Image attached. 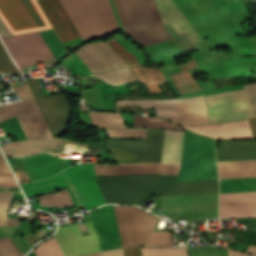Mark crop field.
Instances as JSON below:
<instances>
[{
  "label": "crop field",
  "mask_w": 256,
  "mask_h": 256,
  "mask_svg": "<svg viewBox=\"0 0 256 256\" xmlns=\"http://www.w3.org/2000/svg\"><path fill=\"white\" fill-rule=\"evenodd\" d=\"M217 157L218 161L255 160L256 141H221Z\"/></svg>",
  "instance_id": "17"
},
{
  "label": "crop field",
  "mask_w": 256,
  "mask_h": 256,
  "mask_svg": "<svg viewBox=\"0 0 256 256\" xmlns=\"http://www.w3.org/2000/svg\"><path fill=\"white\" fill-rule=\"evenodd\" d=\"M147 131L148 162L161 160L165 130ZM183 131L166 130L161 163L179 164ZM109 151L118 163L147 162L146 140H106Z\"/></svg>",
  "instance_id": "3"
},
{
  "label": "crop field",
  "mask_w": 256,
  "mask_h": 256,
  "mask_svg": "<svg viewBox=\"0 0 256 256\" xmlns=\"http://www.w3.org/2000/svg\"><path fill=\"white\" fill-rule=\"evenodd\" d=\"M206 193H218V181L172 183L157 193L156 196Z\"/></svg>",
  "instance_id": "18"
},
{
  "label": "crop field",
  "mask_w": 256,
  "mask_h": 256,
  "mask_svg": "<svg viewBox=\"0 0 256 256\" xmlns=\"http://www.w3.org/2000/svg\"><path fill=\"white\" fill-rule=\"evenodd\" d=\"M172 233H152L146 245H170Z\"/></svg>",
  "instance_id": "33"
},
{
  "label": "crop field",
  "mask_w": 256,
  "mask_h": 256,
  "mask_svg": "<svg viewBox=\"0 0 256 256\" xmlns=\"http://www.w3.org/2000/svg\"><path fill=\"white\" fill-rule=\"evenodd\" d=\"M0 16L13 35L51 28L35 0H0Z\"/></svg>",
  "instance_id": "7"
},
{
  "label": "crop field",
  "mask_w": 256,
  "mask_h": 256,
  "mask_svg": "<svg viewBox=\"0 0 256 256\" xmlns=\"http://www.w3.org/2000/svg\"><path fill=\"white\" fill-rule=\"evenodd\" d=\"M209 123L252 118L244 90L206 97Z\"/></svg>",
  "instance_id": "9"
},
{
  "label": "crop field",
  "mask_w": 256,
  "mask_h": 256,
  "mask_svg": "<svg viewBox=\"0 0 256 256\" xmlns=\"http://www.w3.org/2000/svg\"><path fill=\"white\" fill-rule=\"evenodd\" d=\"M249 121L252 129L253 137L256 138V120H249Z\"/></svg>",
  "instance_id": "41"
},
{
  "label": "crop field",
  "mask_w": 256,
  "mask_h": 256,
  "mask_svg": "<svg viewBox=\"0 0 256 256\" xmlns=\"http://www.w3.org/2000/svg\"><path fill=\"white\" fill-rule=\"evenodd\" d=\"M116 110H124L139 113L140 105L116 106Z\"/></svg>",
  "instance_id": "39"
},
{
  "label": "crop field",
  "mask_w": 256,
  "mask_h": 256,
  "mask_svg": "<svg viewBox=\"0 0 256 256\" xmlns=\"http://www.w3.org/2000/svg\"><path fill=\"white\" fill-rule=\"evenodd\" d=\"M88 145L89 143H78L67 139H40L11 142L1 148L5 156H26L52 150L88 148Z\"/></svg>",
  "instance_id": "12"
},
{
  "label": "crop field",
  "mask_w": 256,
  "mask_h": 256,
  "mask_svg": "<svg viewBox=\"0 0 256 256\" xmlns=\"http://www.w3.org/2000/svg\"><path fill=\"white\" fill-rule=\"evenodd\" d=\"M10 238L0 239V256H23Z\"/></svg>",
  "instance_id": "32"
},
{
  "label": "crop field",
  "mask_w": 256,
  "mask_h": 256,
  "mask_svg": "<svg viewBox=\"0 0 256 256\" xmlns=\"http://www.w3.org/2000/svg\"><path fill=\"white\" fill-rule=\"evenodd\" d=\"M27 256H35L34 253L31 251Z\"/></svg>",
  "instance_id": "45"
},
{
  "label": "crop field",
  "mask_w": 256,
  "mask_h": 256,
  "mask_svg": "<svg viewBox=\"0 0 256 256\" xmlns=\"http://www.w3.org/2000/svg\"><path fill=\"white\" fill-rule=\"evenodd\" d=\"M84 41L118 30L109 0H61Z\"/></svg>",
  "instance_id": "5"
},
{
  "label": "crop field",
  "mask_w": 256,
  "mask_h": 256,
  "mask_svg": "<svg viewBox=\"0 0 256 256\" xmlns=\"http://www.w3.org/2000/svg\"><path fill=\"white\" fill-rule=\"evenodd\" d=\"M135 126L152 127V128H166V129H181L179 126L169 123L165 120L153 118L134 116Z\"/></svg>",
  "instance_id": "25"
},
{
  "label": "crop field",
  "mask_w": 256,
  "mask_h": 256,
  "mask_svg": "<svg viewBox=\"0 0 256 256\" xmlns=\"http://www.w3.org/2000/svg\"><path fill=\"white\" fill-rule=\"evenodd\" d=\"M61 42L81 37L59 0H37Z\"/></svg>",
  "instance_id": "14"
},
{
  "label": "crop field",
  "mask_w": 256,
  "mask_h": 256,
  "mask_svg": "<svg viewBox=\"0 0 256 256\" xmlns=\"http://www.w3.org/2000/svg\"><path fill=\"white\" fill-rule=\"evenodd\" d=\"M0 187H18L0 154Z\"/></svg>",
  "instance_id": "31"
},
{
  "label": "crop field",
  "mask_w": 256,
  "mask_h": 256,
  "mask_svg": "<svg viewBox=\"0 0 256 256\" xmlns=\"http://www.w3.org/2000/svg\"><path fill=\"white\" fill-rule=\"evenodd\" d=\"M243 87L250 104L253 119H256V83Z\"/></svg>",
  "instance_id": "34"
},
{
  "label": "crop field",
  "mask_w": 256,
  "mask_h": 256,
  "mask_svg": "<svg viewBox=\"0 0 256 256\" xmlns=\"http://www.w3.org/2000/svg\"><path fill=\"white\" fill-rule=\"evenodd\" d=\"M9 35H11L10 31L8 30V28L5 26V24L0 18V37L9 36Z\"/></svg>",
  "instance_id": "40"
},
{
  "label": "crop field",
  "mask_w": 256,
  "mask_h": 256,
  "mask_svg": "<svg viewBox=\"0 0 256 256\" xmlns=\"http://www.w3.org/2000/svg\"><path fill=\"white\" fill-rule=\"evenodd\" d=\"M219 178L255 177L256 161L218 162Z\"/></svg>",
  "instance_id": "19"
},
{
  "label": "crop field",
  "mask_w": 256,
  "mask_h": 256,
  "mask_svg": "<svg viewBox=\"0 0 256 256\" xmlns=\"http://www.w3.org/2000/svg\"><path fill=\"white\" fill-rule=\"evenodd\" d=\"M216 140L185 130L180 165L137 164L97 165V175L177 174L137 176H96L108 203L139 205L172 180L202 181L217 179ZM95 181L94 164L76 165L48 180L22 185L28 197L67 188L75 206L87 210L107 204Z\"/></svg>",
  "instance_id": "1"
},
{
  "label": "crop field",
  "mask_w": 256,
  "mask_h": 256,
  "mask_svg": "<svg viewBox=\"0 0 256 256\" xmlns=\"http://www.w3.org/2000/svg\"><path fill=\"white\" fill-rule=\"evenodd\" d=\"M31 181L41 180L56 175L67 168L71 159L54 158L48 154H40L26 158H20Z\"/></svg>",
  "instance_id": "15"
},
{
  "label": "crop field",
  "mask_w": 256,
  "mask_h": 256,
  "mask_svg": "<svg viewBox=\"0 0 256 256\" xmlns=\"http://www.w3.org/2000/svg\"><path fill=\"white\" fill-rule=\"evenodd\" d=\"M42 206L64 207L73 205L66 190L38 197Z\"/></svg>",
  "instance_id": "22"
},
{
  "label": "crop field",
  "mask_w": 256,
  "mask_h": 256,
  "mask_svg": "<svg viewBox=\"0 0 256 256\" xmlns=\"http://www.w3.org/2000/svg\"><path fill=\"white\" fill-rule=\"evenodd\" d=\"M124 31L142 46L171 39L153 0H113Z\"/></svg>",
  "instance_id": "4"
},
{
  "label": "crop field",
  "mask_w": 256,
  "mask_h": 256,
  "mask_svg": "<svg viewBox=\"0 0 256 256\" xmlns=\"http://www.w3.org/2000/svg\"><path fill=\"white\" fill-rule=\"evenodd\" d=\"M124 256H140L139 247L123 249ZM122 249H114L102 252V256H123Z\"/></svg>",
  "instance_id": "35"
},
{
  "label": "crop field",
  "mask_w": 256,
  "mask_h": 256,
  "mask_svg": "<svg viewBox=\"0 0 256 256\" xmlns=\"http://www.w3.org/2000/svg\"><path fill=\"white\" fill-rule=\"evenodd\" d=\"M220 193L256 191V178L219 180Z\"/></svg>",
  "instance_id": "20"
},
{
  "label": "crop field",
  "mask_w": 256,
  "mask_h": 256,
  "mask_svg": "<svg viewBox=\"0 0 256 256\" xmlns=\"http://www.w3.org/2000/svg\"><path fill=\"white\" fill-rule=\"evenodd\" d=\"M40 33H41L42 37L44 38L46 44L48 45L49 49L51 50L54 57H56L58 59L61 56L68 53L62 47V45L59 42L57 36L55 35L53 29L42 30V31H40Z\"/></svg>",
  "instance_id": "24"
},
{
  "label": "crop field",
  "mask_w": 256,
  "mask_h": 256,
  "mask_svg": "<svg viewBox=\"0 0 256 256\" xmlns=\"http://www.w3.org/2000/svg\"><path fill=\"white\" fill-rule=\"evenodd\" d=\"M96 127H126L117 113H89Z\"/></svg>",
  "instance_id": "21"
},
{
  "label": "crop field",
  "mask_w": 256,
  "mask_h": 256,
  "mask_svg": "<svg viewBox=\"0 0 256 256\" xmlns=\"http://www.w3.org/2000/svg\"><path fill=\"white\" fill-rule=\"evenodd\" d=\"M185 128H188L196 133L213 136L216 138H253L248 120L209 125L185 126Z\"/></svg>",
  "instance_id": "16"
},
{
  "label": "crop field",
  "mask_w": 256,
  "mask_h": 256,
  "mask_svg": "<svg viewBox=\"0 0 256 256\" xmlns=\"http://www.w3.org/2000/svg\"><path fill=\"white\" fill-rule=\"evenodd\" d=\"M142 256H187L186 248H141Z\"/></svg>",
  "instance_id": "27"
},
{
  "label": "crop field",
  "mask_w": 256,
  "mask_h": 256,
  "mask_svg": "<svg viewBox=\"0 0 256 256\" xmlns=\"http://www.w3.org/2000/svg\"><path fill=\"white\" fill-rule=\"evenodd\" d=\"M34 251L37 256H63L54 238L43 241Z\"/></svg>",
  "instance_id": "28"
},
{
  "label": "crop field",
  "mask_w": 256,
  "mask_h": 256,
  "mask_svg": "<svg viewBox=\"0 0 256 256\" xmlns=\"http://www.w3.org/2000/svg\"><path fill=\"white\" fill-rule=\"evenodd\" d=\"M75 53L92 73L126 66L105 41L86 44Z\"/></svg>",
  "instance_id": "11"
},
{
  "label": "crop field",
  "mask_w": 256,
  "mask_h": 256,
  "mask_svg": "<svg viewBox=\"0 0 256 256\" xmlns=\"http://www.w3.org/2000/svg\"><path fill=\"white\" fill-rule=\"evenodd\" d=\"M253 238H254V231L244 229L242 244L253 245Z\"/></svg>",
  "instance_id": "37"
},
{
  "label": "crop field",
  "mask_w": 256,
  "mask_h": 256,
  "mask_svg": "<svg viewBox=\"0 0 256 256\" xmlns=\"http://www.w3.org/2000/svg\"><path fill=\"white\" fill-rule=\"evenodd\" d=\"M86 256H101V252L95 253V254H91V255H86Z\"/></svg>",
  "instance_id": "44"
},
{
  "label": "crop field",
  "mask_w": 256,
  "mask_h": 256,
  "mask_svg": "<svg viewBox=\"0 0 256 256\" xmlns=\"http://www.w3.org/2000/svg\"><path fill=\"white\" fill-rule=\"evenodd\" d=\"M229 256H250V255L230 250Z\"/></svg>",
  "instance_id": "42"
},
{
  "label": "crop field",
  "mask_w": 256,
  "mask_h": 256,
  "mask_svg": "<svg viewBox=\"0 0 256 256\" xmlns=\"http://www.w3.org/2000/svg\"><path fill=\"white\" fill-rule=\"evenodd\" d=\"M11 194V192H0V226H17L20 221L7 218Z\"/></svg>",
  "instance_id": "26"
},
{
  "label": "crop field",
  "mask_w": 256,
  "mask_h": 256,
  "mask_svg": "<svg viewBox=\"0 0 256 256\" xmlns=\"http://www.w3.org/2000/svg\"><path fill=\"white\" fill-rule=\"evenodd\" d=\"M141 104V109L155 108L156 115L180 125L207 123L204 96L172 100L116 101V105Z\"/></svg>",
  "instance_id": "6"
},
{
  "label": "crop field",
  "mask_w": 256,
  "mask_h": 256,
  "mask_svg": "<svg viewBox=\"0 0 256 256\" xmlns=\"http://www.w3.org/2000/svg\"><path fill=\"white\" fill-rule=\"evenodd\" d=\"M190 256H227V250L223 249H204L189 250Z\"/></svg>",
  "instance_id": "36"
},
{
  "label": "crop field",
  "mask_w": 256,
  "mask_h": 256,
  "mask_svg": "<svg viewBox=\"0 0 256 256\" xmlns=\"http://www.w3.org/2000/svg\"><path fill=\"white\" fill-rule=\"evenodd\" d=\"M218 194L160 197L162 211L174 218H217Z\"/></svg>",
  "instance_id": "8"
},
{
  "label": "crop field",
  "mask_w": 256,
  "mask_h": 256,
  "mask_svg": "<svg viewBox=\"0 0 256 256\" xmlns=\"http://www.w3.org/2000/svg\"><path fill=\"white\" fill-rule=\"evenodd\" d=\"M114 207L123 247L145 245L157 218L134 207ZM114 207L105 205L90 212L102 250L122 247Z\"/></svg>",
  "instance_id": "2"
},
{
  "label": "crop field",
  "mask_w": 256,
  "mask_h": 256,
  "mask_svg": "<svg viewBox=\"0 0 256 256\" xmlns=\"http://www.w3.org/2000/svg\"><path fill=\"white\" fill-rule=\"evenodd\" d=\"M90 235L81 236L76 224L61 227L54 236L64 256L100 251L96 232L90 221L85 222Z\"/></svg>",
  "instance_id": "10"
},
{
  "label": "crop field",
  "mask_w": 256,
  "mask_h": 256,
  "mask_svg": "<svg viewBox=\"0 0 256 256\" xmlns=\"http://www.w3.org/2000/svg\"><path fill=\"white\" fill-rule=\"evenodd\" d=\"M247 252L256 254V247L249 246Z\"/></svg>",
  "instance_id": "43"
},
{
  "label": "crop field",
  "mask_w": 256,
  "mask_h": 256,
  "mask_svg": "<svg viewBox=\"0 0 256 256\" xmlns=\"http://www.w3.org/2000/svg\"><path fill=\"white\" fill-rule=\"evenodd\" d=\"M95 76L100 77L105 82L112 85H119L132 80H136V77L133 75L129 68L106 72Z\"/></svg>",
  "instance_id": "23"
},
{
  "label": "crop field",
  "mask_w": 256,
  "mask_h": 256,
  "mask_svg": "<svg viewBox=\"0 0 256 256\" xmlns=\"http://www.w3.org/2000/svg\"><path fill=\"white\" fill-rule=\"evenodd\" d=\"M8 161L10 162V164L12 166L13 172L24 170L19 158H10V159H8Z\"/></svg>",
  "instance_id": "38"
},
{
  "label": "crop field",
  "mask_w": 256,
  "mask_h": 256,
  "mask_svg": "<svg viewBox=\"0 0 256 256\" xmlns=\"http://www.w3.org/2000/svg\"><path fill=\"white\" fill-rule=\"evenodd\" d=\"M109 136L130 137V138H146L145 129H106Z\"/></svg>",
  "instance_id": "30"
},
{
  "label": "crop field",
  "mask_w": 256,
  "mask_h": 256,
  "mask_svg": "<svg viewBox=\"0 0 256 256\" xmlns=\"http://www.w3.org/2000/svg\"><path fill=\"white\" fill-rule=\"evenodd\" d=\"M220 219L256 217V192L220 194Z\"/></svg>",
  "instance_id": "13"
},
{
  "label": "crop field",
  "mask_w": 256,
  "mask_h": 256,
  "mask_svg": "<svg viewBox=\"0 0 256 256\" xmlns=\"http://www.w3.org/2000/svg\"><path fill=\"white\" fill-rule=\"evenodd\" d=\"M107 43L126 62L127 66L140 65L133 53H128L115 39Z\"/></svg>",
  "instance_id": "29"
}]
</instances>
